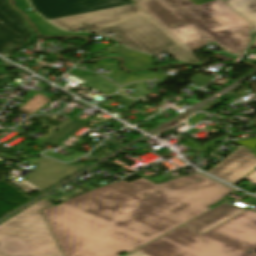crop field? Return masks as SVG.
Wrapping results in <instances>:
<instances>
[{"label": "crop field", "instance_id": "1", "mask_svg": "<svg viewBox=\"0 0 256 256\" xmlns=\"http://www.w3.org/2000/svg\"><path fill=\"white\" fill-rule=\"evenodd\" d=\"M233 190L196 173L106 184L43 213L64 256H119L208 210Z\"/></svg>", "mask_w": 256, "mask_h": 256}, {"label": "crop field", "instance_id": "2", "mask_svg": "<svg viewBox=\"0 0 256 256\" xmlns=\"http://www.w3.org/2000/svg\"><path fill=\"white\" fill-rule=\"evenodd\" d=\"M50 22L68 31L81 27L101 34L113 32L114 38L131 49L154 55L167 51L179 62L202 63L136 4Z\"/></svg>", "mask_w": 256, "mask_h": 256}, {"label": "crop field", "instance_id": "3", "mask_svg": "<svg viewBox=\"0 0 256 256\" xmlns=\"http://www.w3.org/2000/svg\"><path fill=\"white\" fill-rule=\"evenodd\" d=\"M137 5L166 30L191 24L232 54L250 42L252 25L221 0L199 6L190 0H146Z\"/></svg>", "mask_w": 256, "mask_h": 256}, {"label": "crop field", "instance_id": "4", "mask_svg": "<svg viewBox=\"0 0 256 256\" xmlns=\"http://www.w3.org/2000/svg\"><path fill=\"white\" fill-rule=\"evenodd\" d=\"M256 213L249 210L200 235L183 226L138 251L148 256H256Z\"/></svg>", "mask_w": 256, "mask_h": 256}, {"label": "crop field", "instance_id": "5", "mask_svg": "<svg viewBox=\"0 0 256 256\" xmlns=\"http://www.w3.org/2000/svg\"><path fill=\"white\" fill-rule=\"evenodd\" d=\"M45 198L0 224V256H63L41 210Z\"/></svg>", "mask_w": 256, "mask_h": 256}, {"label": "crop field", "instance_id": "6", "mask_svg": "<svg viewBox=\"0 0 256 256\" xmlns=\"http://www.w3.org/2000/svg\"><path fill=\"white\" fill-rule=\"evenodd\" d=\"M47 20L133 4V0H30Z\"/></svg>", "mask_w": 256, "mask_h": 256}, {"label": "crop field", "instance_id": "7", "mask_svg": "<svg viewBox=\"0 0 256 256\" xmlns=\"http://www.w3.org/2000/svg\"><path fill=\"white\" fill-rule=\"evenodd\" d=\"M32 31L26 26L23 16L16 12L8 0H0V54H9L29 40Z\"/></svg>", "mask_w": 256, "mask_h": 256}, {"label": "crop field", "instance_id": "8", "mask_svg": "<svg viewBox=\"0 0 256 256\" xmlns=\"http://www.w3.org/2000/svg\"><path fill=\"white\" fill-rule=\"evenodd\" d=\"M255 167L256 157L240 146L207 173L232 184Z\"/></svg>", "mask_w": 256, "mask_h": 256}, {"label": "crop field", "instance_id": "9", "mask_svg": "<svg viewBox=\"0 0 256 256\" xmlns=\"http://www.w3.org/2000/svg\"><path fill=\"white\" fill-rule=\"evenodd\" d=\"M86 166H88V164L66 165L41 156L27 182L44 191Z\"/></svg>", "mask_w": 256, "mask_h": 256}, {"label": "crop field", "instance_id": "10", "mask_svg": "<svg viewBox=\"0 0 256 256\" xmlns=\"http://www.w3.org/2000/svg\"><path fill=\"white\" fill-rule=\"evenodd\" d=\"M244 211L246 210L224 202L207 213L185 223L183 226L202 234Z\"/></svg>", "mask_w": 256, "mask_h": 256}, {"label": "crop field", "instance_id": "11", "mask_svg": "<svg viewBox=\"0 0 256 256\" xmlns=\"http://www.w3.org/2000/svg\"><path fill=\"white\" fill-rule=\"evenodd\" d=\"M104 55L111 53L125 57V67L128 69L147 68L152 65V56L132 51L122 45L101 52Z\"/></svg>", "mask_w": 256, "mask_h": 256}, {"label": "crop field", "instance_id": "12", "mask_svg": "<svg viewBox=\"0 0 256 256\" xmlns=\"http://www.w3.org/2000/svg\"><path fill=\"white\" fill-rule=\"evenodd\" d=\"M69 73L85 81V83L82 84L81 86H84L89 89L94 88L105 95L111 94L117 91L119 88L118 86L109 83L107 80H105L101 76H98L93 73H89V72L77 70V69H74Z\"/></svg>", "mask_w": 256, "mask_h": 256}, {"label": "crop field", "instance_id": "13", "mask_svg": "<svg viewBox=\"0 0 256 256\" xmlns=\"http://www.w3.org/2000/svg\"><path fill=\"white\" fill-rule=\"evenodd\" d=\"M16 7L25 12L28 13L32 23L35 24V26L39 29L40 33L42 35H50V36H56V35H63V34H87L89 36L93 35L90 33H69V32H64L48 22H46L44 19H42L39 15H37L34 10L28 11L27 8L29 7L28 3L26 0H16Z\"/></svg>", "mask_w": 256, "mask_h": 256}, {"label": "crop field", "instance_id": "14", "mask_svg": "<svg viewBox=\"0 0 256 256\" xmlns=\"http://www.w3.org/2000/svg\"><path fill=\"white\" fill-rule=\"evenodd\" d=\"M242 16L256 9V0H223Z\"/></svg>", "mask_w": 256, "mask_h": 256}, {"label": "crop field", "instance_id": "15", "mask_svg": "<svg viewBox=\"0 0 256 256\" xmlns=\"http://www.w3.org/2000/svg\"><path fill=\"white\" fill-rule=\"evenodd\" d=\"M159 76H162V75H160L158 73L145 74V75H128V74H124V75L116 77L114 79L117 80L119 83L123 84V83L129 82V81H134V80H139V79H152L154 77H159Z\"/></svg>", "mask_w": 256, "mask_h": 256}, {"label": "crop field", "instance_id": "16", "mask_svg": "<svg viewBox=\"0 0 256 256\" xmlns=\"http://www.w3.org/2000/svg\"><path fill=\"white\" fill-rule=\"evenodd\" d=\"M236 144L242 145L246 148H248L255 156H256V138L254 139H248V140H242V141H236L234 142ZM252 172V171H251ZM249 174V173H248ZM247 174V175H248ZM246 176V175H245ZM244 176V177H245ZM243 177V178H244ZM243 178H241L240 180H242ZM240 180H238L237 182H235L233 185H235L236 183H238Z\"/></svg>", "mask_w": 256, "mask_h": 256}, {"label": "crop field", "instance_id": "17", "mask_svg": "<svg viewBox=\"0 0 256 256\" xmlns=\"http://www.w3.org/2000/svg\"><path fill=\"white\" fill-rule=\"evenodd\" d=\"M212 79L213 78H209V77L197 74L193 78H191L188 82L203 86L209 81H211Z\"/></svg>", "mask_w": 256, "mask_h": 256}, {"label": "crop field", "instance_id": "18", "mask_svg": "<svg viewBox=\"0 0 256 256\" xmlns=\"http://www.w3.org/2000/svg\"><path fill=\"white\" fill-rule=\"evenodd\" d=\"M111 98H113V99H115L116 101H118V102H120V103H122V104H124V105H126V106H128V107H132V106H134L137 102H139V101H131V100H129V99H126V98H123V97H120V96H118V95H114V96H112Z\"/></svg>", "mask_w": 256, "mask_h": 256}, {"label": "crop field", "instance_id": "19", "mask_svg": "<svg viewBox=\"0 0 256 256\" xmlns=\"http://www.w3.org/2000/svg\"><path fill=\"white\" fill-rule=\"evenodd\" d=\"M128 87L133 89V90H135V91H137L134 95H132V97H142V96L146 95L147 93H149V92L141 89L139 83L138 84H132V85H130Z\"/></svg>", "mask_w": 256, "mask_h": 256}, {"label": "crop field", "instance_id": "20", "mask_svg": "<svg viewBox=\"0 0 256 256\" xmlns=\"http://www.w3.org/2000/svg\"><path fill=\"white\" fill-rule=\"evenodd\" d=\"M247 21H249L253 26H255L252 29V33L256 32V10H254L253 12L243 16Z\"/></svg>", "mask_w": 256, "mask_h": 256}, {"label": "crop field", "instance_id": "21", "mask_svg": "<svg viewBox=\"0 0 256 256\" xmlns=\"http://www.w3.org/2000/svg\"><path fill=\"white\" fill-rule=\"evenodd\" d=\"M244 179H246V180L256 184V171L253 174H251L250 176H248V177H246Z\"/></svg>", "mask_w": 256, "mask_h": 256}, {"label": "crop field", "instance_id": "22", "mask_svg": "<svg viewBox=\"0 0 256 256\" xmlns=\"http://www.w3.org/2000/svg\"><path fill=\"white\" fill-rule=\"evenodd\" d=\"M192 2H194L196 5L211 1V0H191Z\"/></svg>", "mask_w": 256, "mask_h": 256}, {"label": "crop field", "instance_id": "23", "mask_svg": "<svg viewBox=\"0 0 256 256\" xmlns=\"http://www.w3.org/2000/svg\"><path fill=\"white\" fill-rule=\"evenodd\" d=\"M8 77H9V74H2V73H0V83H2Z\"/></svg>", "mask_w": 256, "mask_h": 256}, {"label": "crop field", "instance_id": "24", "mask_svg": "<svg viewBox=\"0 0 256 256\" xmlns=\"http://www.w3.org/2000/svg\"><path fill=\"white\" fill-rule=\"evenodd\" d=\"M128 256H146V255H144V254H142V253L136 251V252H134V253H132V254H130V255H128Z\"/></svg>", "mask_w": 256, "mask_h": 256}, {"label": "crop field", "instance_id": "25", "mask_svg": "<svg viewBox=\"0 0 256 256\" xmlns=\"http://www.w3.org/2000/svg\"><path fill=\"white\" fill-rule=\"evenodd\" d=\"M160 73V72H159ZM162 74V73H161ZM122 75V74H121ZM164 76H162V77H159L160 78V80L159 81H156L157 83H161L164 79H166L167 77H168V75H166V74H163ZM114 78V77H113Z\"/></svg>", "mask_w": 256, "mask_h": 256}, {"label": "crop field", "instance_id": "26", "mask_svg": "<svg viewBox=\"0 0 256 256\" xmlns=\"http://www.w3.org/2000/svg\"><path fill=\"white\" fill-rule=\"evenodd\" d=\"M134 1L137 3V2H140V1H143V0H134Z\"/></svg>", "mask_w": 256, "mask_h": 256}, {"label": "crop field", "instance_id": "27", "mask_svg": "<svg viewBox=\"0 0 256 256\" xmlns=\"http://www.w3.org/2000/svg\"><path fill=\"white\" fill-rule=\"evenodd\" d=\"M254 46L256 47V41H255V43H254Z\"/></svg>", "mask_w": 256, "mask_h": 256}]
</instances>
